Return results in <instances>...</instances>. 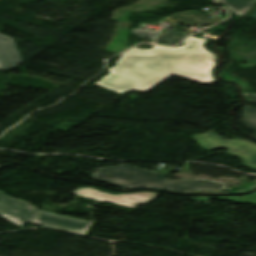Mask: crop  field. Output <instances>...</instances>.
<instances>
[{"mask_svg": "<svg viewBox=\"0 0 256 256\" xmlns=\"http://www.w3.org/2000/svg\"><path fill=\"white\" fill-rule=\"evenodd\" d=\"M39 210L29 204L15 200L0 191V216L25 229L34 221Z\"/></svg>", "mask_w": 256, "mask_h": 256, "instance_id": "f4fd0767", "label": "crop field"}, {"mask_svg": "<svg viewBox=\"0 0 256 256\" xmlns=\"http://www.w3.org/2000/svg\"><path fill=\"white\" fill-rule=\"evenodd\" d=\"M207 20L206 22H203L202 20ZM163 21L172 22V23H185V24H198L201 25L203 23H209L214 24L216 22L221 21L218 18H208L204 14H202L199 11H187V12H179V13H173Z\"/></svg>", "mask_w": 256, "mask_h": 256, "instance_id": "d8731c3e", "label": "crop field"}, {"mask_svg": "<svg viewBox=\"0 0 256 256\" xmlns=\"http://www.w3.org/2000/svg\"><path fill=\"white\" fill-rule=\"evenodd\" d=\"M187 35L188 34L181 31L166 30L164 34L160 33L159 37L157 38V41L168 40L176 44Z\"/></svg>", "mask_w": 256, "mask_h": 256, "instance_id": "28ad6ade", "label": "crop field"}, {"mask_svg": "<svg viewBox=\"0 0 256 256\" xmlns=\"http://www.w3.org/2000/svg\"><path fill=\"white\" fill-rule=\"evenodd\" d=\"M206 40L191 36L182 47H134L109 69L111 74L95 84L119 93L130 89L146 93L173 74L202 83L217 82L212 78L215 63L209 62L217 57L204 48Z\"/></svg>", "mask_w": 256, "mask_h": 256, "instance_id": "8a807250", "label": "crop field"}, {"mask_svg": "<svg viewBox=\"0 0 256 256\" xmlns=\"http://www.w3.org/2000/svg\"><path fill=\"white\" fill-rule=\"evenodd\" d=\"M74 194L87 197L96 201H109L118 205L133 208L138 204H147L160 196L158 193L142 192V193H130L121 195H110L104 192H100L93 188H78ZM129 197L131 199H129ZM140 201L141 203H138ZM136 203V205H134Z\"/></svg>", "mask_w": 256, "mask_h": 256, "instance_id": "412701ff", "label": "crop field"}, {"mask_svg": "<svg viewBox=\"0 0 256 256\" xmlns=\"http://www.w3.org/2000/svg\"><path fill=\"white\" fill-rule=\"evenodd\" d=\"M195 139L205 150L227 148V153L243 159V166L256 170V144L237 138H233L230 141H225L213 132L202 133L195 136Z\"/></svg>", "mask_w": 256, "mask_h": 256, "instance_id": "34b2d1b8", "label": "crop field"}, {"mask_svg": "<svg viewBox=\"0 0 256 256\" xmlns=\"http://www.w3.org/2000/svg\"><path fill=\"white\" fill-rule=\"evenodd\" d=\"M251 18L256 19V8H255V10L252 12V14H251Z\"/></svg>", "mask_w": 256, "mask_h": 256, "instance_id": "22f410ed", "label": "crop field"}, {"mask_svg": "<svg viewBox=\"0 0 256 256\" xmlns=\"http://www.w3.org/2000/svg\"><path fill=\"white\" fill-rule=\"evenodd\" d=\"M97 180L118 186L120 189L136 187H157L185 193L186 189L219 190L224 183L208 180L182 181L167 180L166 174L146 171L131 165L123 164L99 169L94 175Z\"/></svg>", "mask_w": 256, "mask_h": 256, "instance_id": "ac0d7876", "label": "crop field"}, {"mask_svg": "<svg viewBox=\"0 0 256 256\" xmlns=\"http://www.w3.org/2000/svg\"><path fill=\"white\" fill-rule=\"evenodd\" d=\"M251 97L253 99L252 102H256V95H252ZM243 110L244 119L242 121L249 129L255 131L254 136H256V109L245 107Z\"/></svg>", "mask_w": 256, "mask_h": 256, "instance_id": "3316defc", "label": "crop field"}, {"mask_svg": "<svg viewBox=\"0 0 256 256\" xmlns=\"http://www.w3.org/2000/svg\"><path fill=\"white\" fill-rule=\"evenodd\" d=\"M140 24H141V27H142V25L144 23H140ZM151 25H154V24H151ZM141 27L139 29L133 28L130 32L135 34L139 38H148V39L154 40V38L157 35V32L153 31V30H140Z\"/></svg>", "mask_w": 256, "mask_h": 256, "instance_id": "d1516ede", "label": "crop field"}, {"mask_svg": "<svg viewBox=\"0 0 256 256\" xmlns=\"http://www.w3.org/2000/svg\"><path fill=\"white\" fill-rule=\"evenodd\" d=\"M35 223L83 234H86L92 225L91 222L59 216L42 210H40Z\"/></svg>", "mask_w": 256, "mask_h": 256, "instance_id": "dd49c442", "label": "crop field"}, {"mask_svg": "<svg viewBox=\"0 0 256 256\" xmlns=\"http://www.w3.org/2000/svg\"><path fill=\"white\" fill-rule=\"evenodd\" d=\"M0 34V70H12L22 60L13 39Z\"/></svg>", "mask_w": 256, "mask_h": 256, "instance_id": "e52e79f7", "label": "crop field"}, {"mask_svg": "<svg viewBox=\"0 0 256 256\" xmlns=\"http://www.w3.org/2000/svg\"><path fill=\"white\" fill-rule=\"evenodd\" d=\"M222 4L228 6L234 13L241 16L249 10L256 0H219Z\"/></svg>", "mask_w": 256, "mask_h": 256, "instance_id": "5a996713", "label": "crop field"}, {"mask_svg": "<svg viewBox=\"0 0 256 256\" xmlns=\"http://www.w3.org/2000/svg\"><path fill=\"white\" fill-rule=\"evenodd\" d=\"M139 15H149L147 13H142V14H136V15H133V16H139Z\"/></svg>", "mask_w": 256, "mask_h": 256, "instance_id": "cbeb9de0", "label": "crop field"}]
</instances>
